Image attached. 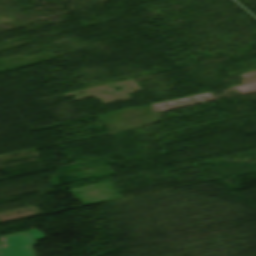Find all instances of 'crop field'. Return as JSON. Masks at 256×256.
<instances>
[{
	"instance_id": "8a807250",
	"label": "crop field",
	"mask_w": 256,
	"mask_h": 256,
	"mask_svg": "<svg viewBox=\"0 0 256 256\" xmlns=\"http://www.w3.org/2000/svg\"><path fill=\"white\" fill-rule=\"evenodd\" d=\"M3 238L7 246L0 247V256H33L30 247L34 241L28 231Z\"/></svg>"
}]
</instances>
